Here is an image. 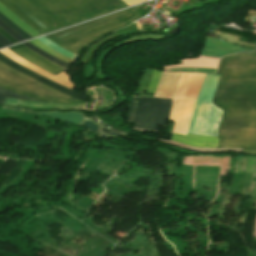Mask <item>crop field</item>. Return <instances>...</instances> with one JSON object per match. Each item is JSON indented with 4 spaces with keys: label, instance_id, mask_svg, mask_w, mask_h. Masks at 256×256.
Instances as JSON below:
<instances>
[{
    "label": "crop field",
    "instance_id": "d8731c3e",
    "mask_svg": "<svg viewBox=\"0 0 256 256\" xmlns=\"http://www.w3.org/2000/svg\"><path fill=\"white\" fill-rule=\"evenodd\" d=\"M242 51L252 50L207 37L201 55L221 58L227 54Z\"/></svg>",
    "mask_w": 256,
    "mask_h": 256
},
{
    "label": "crop field",
    "instance_id": "22f410ed",
    "mask_svg": "<svg viewBox=\"0 0 256 256\" xmlns=\"http://www.w3.org/2000/svg\"><path fill=\"white\" fill-rule=\"evenodd\" d=\"M22 44H23L24 46H26L27 48L33 50L34 52H36V53L42 55L43 57H45V58H47V59H49L50 61H52V62H54V63H56V64H58V65L64 67L65 69H66L67 66L69 65V64H67V63H65V62H63V61H61V60H59V59H57V58H55V57L49 55L48 53H46V52H44V51L38 49L37 47H35L34 45H32V44L29 43V42L22 43Z\"/></svg>",
    "mask_w": 256,
    "mask_h": 256
},
{
    "label": "crop field",
    "instance_id": "dafd665d",
    "mask_svg": "<svg viewBox=\"0 0 256 256\" xmlns=\"http://www.w3.org/2000/svg\"><path fill=\"white\" fill-rule=\"evenodd\" d=\"M0 33L3 34L6 38H8L10 41H12L13 43H16L17 41H15L13 38H11L9 35H7L5 32H3L1 29H0Z\"/></svg>",
    "mask_w": 256,
    "mask_h": 256
},
{
    "label": "crop field",
    "instance_id": "d9b57169",
    "mask_svg": "<svg viewBox=\"0 0 256 256\" xmlns=\"http://www.w3.org/2000/svg\"><path fill=\"white\" fill-rule=\"evenodd\" d=\"M0 20L5 23L7 26H9L11 29L15 30L19 35H21L25 40L32 38L30 35L25 33L23 30H21L19 27H17L15 24H13L10 20H8L6 17H4L2 14H0Z\"/></svg>",
    "mask_w": 256,
    "mask_h": 256
},
{
    "label": "crop field",
    "instance_id": "ac0d7876",
    "mask_svg": "<svg viewBox=\"0 0 256 256\" xmlns=\"http://www.w3.org/2000/svg\"><path fill=\"white\" fill-rule=\"evenodd\" d=\"M41 34L124 7L121 0H0Z\"/></svg>",
    "mask_w": 256,
    "mask_h": 256
},
{
    "label": "crop field",
    "instance_id": "34b2d1b8",
    "mask_svg": "<svg viewBox=\"0 0 256 256\" xmlns=\"http://www.w3.org/2000/svg\"><path fill=\"white\" fill-rule=\"evenodd\" d=\"M135 7L125 11L46 36L59 46L77 54L85 45L102 34L122 27L125 20L135 14Z\"/></svg>",
    "mask_w": 256,
    "mask_h": 256
},
{
    "label": "crop field",
    "instance_id": "412701ff",
    "mask_svg": "<svg viewBox=\"0 0 256 256\" xmlns=\"http://www.w3.org/2000/svg\"><path fill=\"white\" fill-rule=\"evenodd\" d=\"M205 74L181 73L173 95L170 119L172 133L186 135L194 105Z\"/></svg>",
    "mask_w": 256,
    "mask_h": 256
},
{
    "label": "crop field",
    "instance_id": "00972430",
    "mask_svg": "<svg viewBox=\"0 0 256 256\" xmlns=\"http://www.w3.org/2000/svg\"><path fill=\"white\" fill-rule=\"evenodd\" d=\"M3 47L1 44H0V48Z\"/></svg>",
    "mask_w": 256,
    "mask_h": 256
},
{
    "label": "crop field",
    "instance_id": "f4fd0767",
    "mask_svg": "<svg viewBox=\"0 0 256 256\" xmlns=\"http://www.w3.org/2000/svg\"><path fill=\"white\" fill-rule=\"evenodd\" d=\"M0 87L31 97L58 102H77L78 100L57 92L34 79L0 62Z\"/></svg>",
    "mask_w": 256,
    "mask_h": 256
},
{
    "label": "crop field",
    "instance_id": "5142ce71",
    "mask_svg": "<svg viewBox=\"0 0 256 256\" xmlns=\"http://www.w3.org/2000/svg\"><path fill=\"white\" fill-rule=\"evenodd\" d=\"M30 42L32 44H34L35 46H37L38 48H40V49H42V50H44V51H46V52H48V53L58 57V58H60L61 60L65 61V62H67L69 64L72 61V60H70L68 58H65V57L59 55L58 53H56L55 51H53L52 49H50L49 47H47L46 45H44L43 43L39 42L36 39H34V40L30 41Z\"/></svg>",
    "mask_w": 256,
    "mask_h": 256
},
{
    "label": "crop field",
    "instance_id": "5a996713",
    "mask_svg": "<svg viewBox=\"0 0 256 256\" xmlns=\"http://www.w3.org/2000/svg\"><path fill=\"white\" fill-rule=\"evenodd\" d=\"M0 60L3 61L4 63L8 64L9 66H11V67H13V68L23 72V73H25V74L35 78L37 80H40L41 82H43V83H45V84H47V85H49V86L59 90V91L65 93V94H68V95H70L72 97H75V98H78L80 100H86V98H87V97H85V96H83V95H81V94H79V93H77V92H75V91H73V90H71L69 88L60 86V85H58V84H56V83H54V82H52V81H50V80H48V79H46L44 77H42V76L32 72L31 70H29V69H27V68L17 64L16 62L8 59L7 57L2 55L1 53H0Z\"/></svg>",
    "mask_w": 256,
    "mask_h": 256
},
{
    "label": "crop field",
    "instance_id": "cbeb9de0",
    "mask_svg": "<svg viewBox=\"0 0 256 256\" xmlns=\"http://www.w3.org/2000/svg\"><path fill=\"white\" fill-rule=\"evenodd\" d=\"M5 97L15 98V99H29V100L42 101V100L30 98V97L21 96V95L15 94L13 92L7 91L3 88H0V103L4 104ZM44 102H46V101H44Z\"/></svg>",
    "mask_w": 256,
    "mask_h": 256
},
{
    "label": "crop field",
    "instance_id": "28ad6ade",
    "mask_svg": "<svg viewBox=\"0 0 256 256\" xmlns=\"http://www.w3.org/2000/svg\"><path fill=\"white\" fill-rule=\"evenodd\" d=\"M182 62L184 64L176 65V66H169V67H164V68L201 67V68H213V69H216L217 65H218V62H219V59L200 56L199 59L183 60Z\"/></svg>",
    "mask_w": 256,
    "mask_h": 256
},
{
    "label": "crop field",
    "instance_id": "8a807250",
    "mask_svg": "<svg viewBox=\"0 0 256 256\" xmlns=\"http://www.w3.org/2000/svg\"><path fill=\"white\" fill-rule=\"evenodd\" d=\"M213 103L224 110L219 147L256 153V51L223 57Z\"/></svg>",
    "mask_w": 256,
    "mask_h": 256
},
{
    "label": "crop field",
    "instance_id": "dd49c442",
    "mask_svg": "<svg viewBox=\"0 0 256 256\" xmlns=\"http://www.w3.org/2000/svg\"><path fill=\"white\" fill-rule=\"evenodd\" d=\"M150 101V98L145 99L143 111L141 113L144 98H139L133 127L143 130H157L158 125H166L170 112L171 100L153 98L149 108Z\"/></svg>",
    "mask_w": 256,
    "mask_h": 256
},
{
    "label": "crop field",
    "instance_id": "4a817a6b",
    "mask_svg": "<svg viewBox=\"0 0 256 256\" xmlns=\"http://www.w3.org/2000/svg\"><path fill=\"white\" fill-rule=\"evenodd\" d=\"M136 103H137V97L134 96L133 100L131 102V105H130V109H129V113H128V117H127L126 122L132 123Z\"/></svg>",
    "mask_w": 256,
    "mask_h": 256
},
{
    "label": "crop field",
    "instance_id": "733c2abd",
    "mask_svg": "<svg viewBox=\"0 0 256 256\" xmlns=\"http://www.w3.org/2000/svg\"><path fill=\"white\" fill-rule=\"evenodd\" d=\"M0 27L6 31L11 37H13L15 40H17L18 42L20 41H24V39L19 36L15 31L11 30L9 27H7L5 24H3L1 21H0Z\"/></svg>",
    "mask_w": 256,
    "mask_h": 256
},
{
    "label": "crop field",
    "instance_id": "92a150f3",
    "mask_svg": "<svg viewBox=\"0 0 256 256\" xmlns=\"http://www.w3.org/2000/svg\"><path fill=\"white\" fill-rule=\"evenodd\" d=\"M124 1L128 6L145 1V0H122Z\"/></svg>",
    "mask_w": 256,
    "mask_h": 256
},
{
    "label": "crop field",
    "instance_id": "d1516ede",
    "mask_svg": "<svg viewBox=\"0 0 256 256\" xmlns=\"http://www.w3.org/2000/svg\"><path fill=\"white\" fill-rule=\"evenodd\" d=\"M0 12L3 15H5L8 19H10L12 22H14L17 26H19L21 29H23L25 32L30 34L31 36L35 37V36L40 35L37 31L32 29L30 26H28L26 23H24L21 19H19L16 15H14L12 12H10L1 3H0Z\"/></svg>",
    "mask_w": 256,
    "mask_h": 256
},
{
    "label": "crop field",
    "instance_id": "e52e79f7",
    "mask_svg": "<svg viewBox=\"0 0 256 256\" xmlns=\"http://www.w3.org/2000/svg\"><path fill=\"white\" fill-rule=\"evenodd\" d=\"M11 52L15 53L16 55L20 56L21 58L33 63L34 65L56 75L62 72L63 68L57 66L56 64L42 58L41 56L33 53L29 49L25 48L21 44L16 45L14 47L8 48Z\"/></svg>",
    "mask_w": 256,
    "mask_h": 256
},
{
    "label": "crop field",
    "instance_id": "214f88e0",
    "mask_svg": "<svg viewBox=\"0 0 256 256\" xmlns=\"http://www.w3.org/2000/svg\"><path fill=\"white\" fill-rule=\"evenodd\" d=\"M18 102H19V100L6 98L5 104L14 106V105H17Z\"/></svg>",
    "mask_w": 256,
    "mask_h": 256
},
{
    "label": "crop field",
    "instance_id": "3316defc",
    "mask_svg": "<svg viewBox=\"0 0 256 256\" xmlns=\"http://www.w3.org/2000/svg\"><path fill=\"white\" fill-rule=\"evenodd\" d=\"M179 73H162L158 89L154 95L156 98H171Z\"/></svg>",
    "mask_w": 256,
    "mask_h": 256
},
{
    "label": "crop field",
    "instance_id": "bc2a9ffb",
    "mask_svg": "<svg viewBox=\"0 0 256 256\" xmlns=\"http://www.w3.org/2000/svg\"><path fill=\"white\" fill-rule=\"evenodd\" d=\"M0 43L4 46L12 44L9 40H7L4 36L0 34Z\"/></svg>",
    "mask_w": 256,
    "mask_h": 256
}]
</instances>
